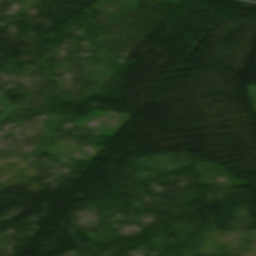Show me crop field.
<instances>
[{
    "mask_svg": "<svg viewBox=\"0 0 256 256\" xmlns=\"http://www.w3.org/2000/svg\"><path fill=\"white\" fill-rule=\"evenodd\" d=\"M253 112H256V85L247 86Z\"/></svg>",
    "mask_w": 256,
    "mask_h": 256,
    "instance_id": "8a807250",
    "label": "crop field"
}]
</instances>
